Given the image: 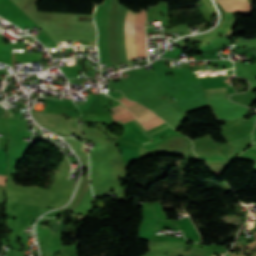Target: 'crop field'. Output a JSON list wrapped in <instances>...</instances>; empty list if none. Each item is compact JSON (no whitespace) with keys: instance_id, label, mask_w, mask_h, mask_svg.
I'll list each match as a JSON object with an SVG mask.
<instances>
[{"instance_id":"4","label":"crop field","mask_w":256,"mask_h":256,"mask_svg":"<svg viewBox=\"0 0 256 256\" xmlns=\"http://www.w3.org/2000/svg\"><path fill=\"white\" fill-rule=\"evenodd\" d=\"M225 11L248 12L251 13L252 7L247 0H216Z\"/></svg>"},{"instance_id":"7","label":"crop field","mask_w":256,"mask_h":256,"mask_svg":"<svg viewBox=\"0 0 256 256\" xmlns=\"http://www.w3.org/2000/svg\"><path fill=\"white\" fill-rule=\"evenodd\" d=\"M5 178H6V176H1L0 175V185H4L5 186Z\"/></svg>"},{"instance_id":"1","label":"crop field","mask_w":256,"mask_h":256,"mask_svg":"<svg viewBox=\"0 0 256 256\" xmlns=\"http://www.w3.org/2000/svg\"><path fill=\"white\" fill-rule=\"evenodd\" d=\"M98 10L94 16L96 26L98 29V50L100 55V63H104L102 57V47H101V32H100V14H101V5L97 7ZM145 23H146V10L136 13L135 20V45L138 57H147V49L145 42Z\"/></svg>"},{"instance_id":"5","label":"crop field","mask_w":256,"mask_h":256,"mask_svg":"<svg viewBox=\"0 0 256 256\" xmlns=\"http://www.w3.org/2000/svg\"><path fill=\"white\" fill-rule=\"evenodd\" d=\"M121 105H122V104H121ZM121 105L112 108V109L115 111V112H114L115 114H113L112 117L118 116V115H121V114H125V113H129V112H130V111H128L125 107H122ZM127 116H131V113L125 114V115H121V116H118V117H114V120L120 119V118H124V117H127Z\"/></svg>"},{"instance_id":"6","label":"crop field","mask_w":256,"mask_h":256,"mask_svg":"<svg viewBox=\"0 0 256 256\" xmlns=\"http://www.w3.org/2000/svg\"><path fill=\"white\" fill-rule=\"evenodd\" d=\"M232 90H235V89H232V87H228L226 89L216 88V89H208L204 91L206 94H209V93H217V92L232 91Z\"/></svg>"},{"instance_id":"2","label":"crop field","mask_w":256,"mask_h":256,"mask_svg":"<svg viewBox=\"0 0 256 256\" xmlns=\"http://www.w3.org/2000/svg\"><path fill=\"white\" fill-rule=\"evenodd\" d=\"M131 113L134 115V117L137 119L151 111L147 110L146 108L142 107L140 104L138 103H132L128 106H126ZM146 129V131L164 123V121H162L159 117H157L155 114H153L152 112L137 119Z\"/></svg>"},{"instance_id":"3","label":"crop field","mask_w":256,"mask_h":256,"mask_svg":"<svg viewBox=\"0 0 256 256\" xmlns=\"http://www.w3.org/2000/svg\"><path fill=\"white\" fill-rule=\"evenodd\" d=\"M152 111L156 113L160 118L167 121L175 130L180 126L182 122V116L169 103L159 106Z\"/></svg>"},{"instance_id":"8","label":"crop field","mask_w":256,"mask_h":256,"mask_svg":"<svg viewBox=\"0 0 256 256\" xmlns=\"http://www.w3.org/2000/svg\"><path fill=\"white\" fill-rule=\"evenodd\" d=\"M191 256H201V255H194V254H191Z\"/></svg>"}]
</instances>
